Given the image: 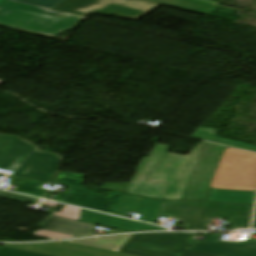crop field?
Masks as SVG:
<instances>
[{
	"instance_id": "4a817a6b",
	"label": "crop field",
	"mask_w": 256,
	"mask_h": 256,
	"mask_svg": "<svg viewBox=\"0 0 256 256\" xmlns=\"http://www.w3.org/2000/svg\"><path fill=\"white\" fill-rule=\"evenodd\" d=\"M82 19L83 18L69 15L67 18H65L61 22L57 23L56 25H54L51 28L42 32V34H46V35H50V36L57 35L66 29H70V28L76 26Z\"/></svg>"
},
{
	"instance_id": "730fd06b",
	"label": "crop field",
	"mask_w": 256,
	"mask_h": 256,
	"mask_svg": "<svg viewBox=\"0 0 256 256\" xmlns=\"http://www.w3.org/2000/svg\"><path fill=\"white\" fill-rule=\"evenodd\" d=\"M128 185H129V183H104L102 188L112 189V190H119V191L125 192Z\"/></svg>"
},
{
	"instance_id": "bc2a9ffb",
	"label": "crop field",
	"mask_w": 256,
	"mask_h": 256,
	"mask_svg": "<svg viewBox=\"0 0 256 256\" xmlns=\"http://www.w3.org/2000/svg\"><path fill=\"white\" fill-rule=\"evenodd\" d=\"M41 183L24 181L16 192L42 197L44 190L40 189Z\"/></svg>"
},
{
	"instance_id": "733c2abd",
	"label": "crop field",
	"mask_w": 256,
	"mask_h": 256,
	"mask_svg": "<svg viewBox=\"0 0 256 256\" xmlns=\"http://www.w3.org/2000/svg\"><path fill=\"white\" fill-rule=\"evenodd\" d=\"M193 137H197V138H201V139H205V140H209V141H213V142H218V143H222V144H227V145H231V146H235V147H239V148H243V149H247V150L256 152V146L215 136V130H213V129L200 127L196 131V133L193 135Z\"/></svg>"
},
{
	"instance_id": "00972430",
	"label": "crop field",
	"mask_w": 256,
	"mask_h": 256,
	"mask_svg": "<svg viewBox=\"0 0 256 256\" xmlns=\"http://www.w3.org/2000/svg\"><path fill=\"white\" fill-rule=\"evenodd\" d=\"M0 197L19 200V201H23V202H27V201H32V202H36V203L40 202V199L23 196V195H18V194H13V193H8V192H4V191H0Z\"/></svg>"
},
{
	"instance_id": "3316defc",
	"label": "crop field",
	"mask_w": 256,
	"mask_h": 256,
	"mask_svg": "<svg viewBox=\"0 0 256 256\" xmlns=\"http://www.w3.org/2000/svg\"><path fill=\"white\" fill-rule=\"evenodd\" d=\"M221 233L211 234L205 242L194 240L189 250L216 256H256V239L247 242H218Z\"/></svg>"
},
{
	"instance_id": "214f88e0",
	"label": "crop field",
	"mask_w": 256,
	"mask_h": 256,
	"mask_svg": "<svg viewBox=\"0 0 256 256\" xmlns=\"http://www.w3.org/2000/svg\"><path fill=\"white\" fill-rule=\"evenodd\" d=\"M83 178H84L83 175H77L72 173H61L57 181V184L82 186Z\"/></svg>"
},
{
	"instance_id": "5a996713",
	"label": "crop field",
	"mask_w": 256,
	"mask_h": 256,
	"mask_svg": "<svg viewBox=\"0 0 256 256\" xmlns=\"http://www.w3.org/2000/svg\"><path fill=\"white\" fill-rule=\"evenodd\" d=\"M49 256H130L64 242L4 245Z\"/></svg>"
},
{
	"instance_id": "1d83c4d3",
	"label": "crop field",
	"mask_w": 256,
	"mask_h": 256,
	"mask_svg": "<svg viewBox=\"0 0 256 256\" xmlns=\"http://www.w3.org/2000/svg\"><path fill=\"white\" fill-rule=\"evenodd\" d=\"M44 8V7H43Z\"/></svg>"
},
{
	"instance_id": "e52e79f7",
	"label": "crop field",
	"mask_w": 256,
	"mask_h": 256,
	"mask_svg": "<svg viewBox=\"0 0 256 256\" xmlns=\"http://www.w3.org/2000/svg\"><path fill=\"white\" fill-rule=\"evenodd\" d=\"M170 146L155 144L149 158H143L129 187L127 193L144 195L154 198H163L168 184L146 180L161 158L168 152Z\"/></svg>"
},
{
	"instance_id": "5142ce71",
	"label": "crop field",
	"mask_w": 256,
	"mask_h": 256,
	"mask_svg": "<svg viewBox=\"0 0 256 256\" xmlns=\"http://www.w3.org/2000/svg\"><path fill=\"white\" fill-rule=\"evenodd\" d=\"M131 236L132 235L67 242L118 252Z\"/></svg>"
},
{
	"instance_id": "a9b5d70f",
	"label": "crop field",
	"mask_w": 256,
	"mask_h": 256,
	"mask_svg": "<svg viewBox=\"0 0 256 256\" xmlns=\"http://www.w3.org/2000/svg\"><path fill=\"white\" fill-rule=\"evenodd\" d=\"M22 2H27L35 5H40L44 7H48L50 9L54 8L56 5H58L63 0H18Z\"/></svg>"
},
{
	"instance_id": "4177f3b9",
	"label": "crop field",
	"mask_w": 256,
	"mask_h": 256,
	"mask_svg": "<svg viewBox=\"0 0 256 256\" xmlns=\"http://www.w3.org/2000/svg\"><path fill=\"white\" fill-rule=\"evenodd\" d=\"M35 235H41L49 238H54V239H63V238H69V237H74V236H69L65 234H60V233H55L51 231H46L39 229L37 232L34 233Z\"/></svg>"
},
{
	"instance_id": "d9b57169",
	"label": "crop field",
	"mask_w": 256,
	"mask_h": 256,
	"mask_svg": "<svg viewBox=\"0 0 256 256\" xmlns=\"http://www.w3.org/2000/svg\"><path fill=\"white\" fill-rule=\"evenodd\" d=\"M160 4H166L182 9H187L199 13L206 14L208 11H210L214 6L213 4L200 2L196 0H148Z\"/></svg>"
},
{
	"instance_id": "eef30255",
	"label": "crop field",
	"mask_w": 256,
	"mask_h": 256,
	"mask_svg": "<svg viewBox=\"0 0 256 256\" xmlns=\"http://www.w3.org/2000/svg\"><path fill=\"white\" fill-rule=\"evenodd\" d=\"M27 179H34L42 182H49L51 181L50 179H44V178H36V177H28Z\"/></svg>"
},
{
	"instance_id": "28ad6ade",
	"label": "crop field",
	"mask_w": 256,
	"mask_h": 256,
	"mask_svg": "<svg viewBox=\"0 0 256 256\" xmlns=\"http://www.w3.org/2000/svg\"><path fill=\"white\" fill-rule=\"evenodd\" d=\"M81 221L89 222L92 224L106 226L126 232H137V231H153V230H168L163 227L139 223L107 214H102L94 211L82 209Z\"/></svg>"
},
{
	"instance_id": "34b2d1b8",
	"label": "crop field",
	"mask_w": 256,
	"mask_h": 256,
	"mask_svg": "<svg viewBox=\"0 0 256 256\" xmlns=\"http://www.w3.org/2000/svg\"><path fill=\"white\" fill-rule=\"evenodd\" d=\"M60 162L58 155L37 152V147L17 136L0 134V169L15 171L14 177L53 179Z\"/></svg>"
},
{
	"instance_id": "dafd665d",
	"label": "crop field",
	"mask_w": 256,
	"mask_h": 256,
	"mask_svg": "<svg viewBox=\"0 0 256 256\" xmlns=\"http://www.w3.org/2000/svg\"><path fill=\"white\" fill-rule=\"evenodd\" d=\"M0 256H44V255L0 247Z\"/></svg>"
},
{
	"instance_id": "cbeb9de0",
	"label": "crop field",
	"mask_w": 256,
	"mask_h": 256,
	"mask_svg": "<svg viewBox=\"0 0 256 256\" xmlns=\"http://www.w3.org/2000/svg\"><path fill=\"white\" fill-rule=\"evenodd\" d=\"M256 192L212 189L208 200L228 203L254 204Z\"/></svg>"
},
{
	"instance_id": "f4fd0767",
	"label": "crop field",
	"mask_w": 256,
	"mask_h": 256,
	"mask_svg": "<svg viewBox=\"0 0 256 256\" xmlns=\"http://www.w3.org/2000/svg\"><path fill=\"white\" fill-rule=\"evenodd\" d=\"M119 2L116 4L115 2ZM161 5L143 0H64L54 10L81 16L90 13L104 15L117 14L126 18L138 19Z\"/></svg>"
},
{
	"instance_id": "92a150f3",
	"label": "crop field",
	"mask_w": 256,
	"mask_h": 256,
	"mask_svg": "<svg viewBox=\"0 0 256 256\" xmlns=\"http://www.w3.org/2000/svg\"><path fill=\"white\" fill-rule=\"evenodd\" d=\"M80 208L72 207L66 205L61 213L55 212L54 215H59L63 217L73 218L79 220L80 217Z\"/></svg>"
},
{
	"instance_id": "dd49c442",
	"label": "crop field",
	"mask_w": 256,
	"mask_h": 256,
	"mask_svg": "<svg viewBox=\"0 0 256 256\" xmlns=\"http://www.w3.org/2000/svg\"><path fill=\"white\" fill-rule=\"evenodd\" d=\"M63 13L23 5L7 0H0V24L15 27L21 30L40 33L56 24L63 18Z\"/></svg>"
},
{
	"instance_id": "d8731c3e",
	"label": "crop field",
	"mask_w": 256,
	"mask_h": 256,
	"mask_svg": "<svg viewBox=\"0 0 256 256\" xmlns=\"http://www.w3.org/2000/svg\"><path fill=\"white\" fill-rule=\"evenodd\" d=\"M89 189L69 187L63 195H56L55 200L113 214L123 194L111 192L109 198L91 193Z\"/></svg>"
},
{
	"instance_id": "750c4746",
	"label": "crop field",
	"mask_w": 256,
	"mask_h": 256,
	"mask_svg": "<svg viewBox=\"0 0 256 256\" xmlns=\"http://www.w3.org/2000/svg\"><path fill=\"white\" fill-rule=\"evenodd\" d=\"M253 228H256V219H255V223H254V225H253Z\"/></svg>"
},
{
	"instance_id": "22f410ed",
	"label": "crop field",
	"mask_w": 256,
	"mask_h": 256,
	"mask_svg": "<svg viewBox=\"0 0 256 256\" xmlns=\"http://www.w3.org/2000/svg\"><path fill=\"white\" fill-rule=\"evenodd\" d=\"M95 226L68 218L48 215L37 227L78 237L95 235Z\"/></svg>"
},
{
	"instance_id": "bd1437ed",
	"label": "crop field",
	"mask_w": 256,
	"mask_h": 256,
	"mask_svg": "<svg viewBox=\"0 0 256 256\" xmlns=\"http://www.w3.org/2000/svg\"><path fill=\"white\" fill-rule=\"evenodd\" d=\"M4 82H5V81H1V80H0V84H2V83H4Z\"/></svg>"
},
{
	"instance_id": "d3111659",
	"label": "crop field",
	"mask_w": 256,
	"mask_h": 256,
	"mask_svg": "<svg viewBox=\"0 0 256 256\" xmlns=\"http://www.w3.org/2000/svg\"><path fill=\"white\" fill-rule=\"evenodd\" d=\"M201 1H205V2H209V3H213V4H218V2H216L215 0H201Z\"/></svg>"
},
{
	"instance_id": "412701ff",
	"label": "crop field",
	"mask_w": 256,
	"mask_h": 256,
	"mask_svg": "<svg viewBox=\"0 0 256 256\" xmlns=\"http://www.w3.org/2000/svg\"><path fill=\"white\" fill-rule=\"evenodd\" d=\"M196 234L159 233L137 234L122 247L120 253L135 256H211L186 250L187 238Z\"/></svg>"
},
{
	"instance_id": "ae1a2a85",
	"label": "crop field",
	"mask_w": 256,
	"mask_h": 256,
	"mask_svg": "<svg viewBox=\"0 0 256 256\" xmlns=\"http://www.w3.org/2000/svg\"><path fill=\"white\" fill-rule=\"evenodd\" d=\"M42 204L48 205V206H56V203L48 202V201H43Z\"/></svg>"
},
{
	"instance_id": "d1516ede",
	"label": "crop field",
	"mask_w": 256,
	"mask_h": 256,
	"mask_svg": "<svg viewBox=\"0 0 256 256\" xmlns=\"http://www.w3.org/2000/svg\"><path fill=\"white\" fill-rule=\"evenodd\" d=\"M161 202L159 200L124 195L114 214L140 213L139 220L156 224Z\"/></svg>"
},
{
	"instance_id": "ac0d7876",
	"label": "crop field",
	"mask_w": 256,
	"mask_h": 256,
	"mask_svg": "<svg viewBox=\"0 0 256 256\" xmlns=\"http://www.w3.org/2000/svg\"><path fill=\"white\" fill-rule=\"evenodd\" d=\"M254 205L163 201L160 214L185 223L184 230H208V217H232L231 229L249 228Z\"/></svg>"
},
{
	"instance_id": "8a807250",
	"label": "crop field",
	"mask_w": 256,
	"mask_h": 256,
	"mask_svg": "<svg viewBox=\"0 0 256 256\" xmlns=\"http://www.w3.org/2000/svg\"><path fill=\"white\" fill-rule=\"evenodd\" d=\"M148 179L169 183L163 199L206 200L211 188L256 191V153L202 142L186 156L166 153Z\"/></svg>"
}]
</instances>
